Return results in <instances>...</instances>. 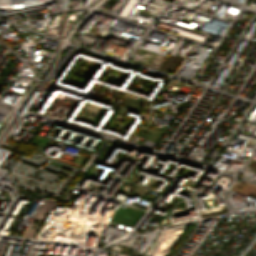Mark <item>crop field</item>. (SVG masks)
Returning <instances> with one entry per match:
<instances>
[{
  "mask_svg": "<svg viewBox=\"0 0 256 256\" xmlns=\"http://www.w3.org/2000/svg\"><path fill=\"white\" fill-rule=\"evenodd\" d=\"M178 228V227H177ZM177 228L167 229L160 232L156 240L153 242L149 250L146 252V255L149 256H159L161 251L164 249L172 235L175 233Z\"/></svg>",
  "mask_w": 256,
  "mask_h": 256,
  "instance_id": "1",
  "label": "crop field"
},
{
  "mask_svg": "<svg viewBox=\"0 0 256 256\" xmlns=\"http://www.w3.org/2000/svg\"><path fill=\"white\" fill-rule=\"evenodd\" d=\"M57 202V200L51 199V198H47L45 200V202L42 204L41 208L39 209V211L36 213V215L32 218V220L30 221L28 228L26 229L25 233L23 234V236L26 237H31L33 238V235L35 233V230L37 229L38 225L42 222V218L46 215V213L53 207V205ZM39 219L38 224L35 226L34 229H32V225L33 222H35V220Z\"/></svg>",
  "mask_w": 256,
  "mask_h": 256,
  "instance_id": "2",
  "label": "crop field"
}]
</instances>
